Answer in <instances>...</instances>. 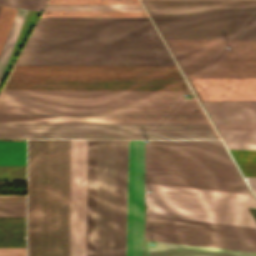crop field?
<instances>
[{"label": "crop field", "instance_id": "1", "mask_svg": "<svg viewBox=\"0 0 256 256\" xmlns=\"http://www.w3.org/2000/svg\"><path fill=\"white\" fill-rule=\"evenodd\" d=\"M145 182L251 194L220 140H148ZM149 183L146 215L255 227L243 208L253 195ZM150 216L146 240L256 252V228ZM150 241L146 256H256Z\"/></svg>", "mask_w": 256, "mask_h": 256}, {"label": "crop field", "instance_id": "2", "mask_svg": "<svg viewBox=\"0 0 256 256\" xmlns=\"http://www.w3.org/2000/svg\"><path fill=\"white\" fill-rule=\"evenodd\" d=\"M192 91H0V138L219 139Z\"/></svg>", "mask_w": 256, "mask_h": 256}, {"label": "crop field", "instance_id": "3", "mask_svg": "<svg viewBox=\"0 0 256 256\" xmlns=\"http://www.w3.org/2000/svg\"><path fill=\"white\" fill-rule=\"evenodd\" d=\"M142 2L164 41H256V0ZM166 44L184 74L256 73V42ZM186 77L200 101H256V74Z\"/></svg>", "mask_w": 256, "mask_h": 256}, {"label": "crop field", "instance_id": "4", "mask_svg": "<svg viewBox=\"0 0 256 256\" xmlns=\"http://www.w3.org/2000/svg\"><path fill=\"white\" fill-rule=\"evenodd\" d=\"M69 140L28 141V256H68Z\"/></svg>", "mask_w": 256, "mask_h": 256}, {"label": "crop field", "instance_id": "5", "mask_svg": "<svg viewBox=\"0 0 256 256\" xmlns=\"http://www.w3.org/2000/svg\"><path fill=\"white\" fill-rule=\"evenodd\" d=\"M127 140H117L115 256H124ZM116 140H88L87 256H114Z\"/></svg>", "mask_w": 256, "mask_h": 256}, {"label": "crop field", "instance_id": "6", "mask_svg": "<svg viewBox=\"0 0 256 256\" xmlns=\"http://www.w3.org/2000/svg\"><path fill=\"white\" fill-rule=\"evenodd\" d=\"M1 90H190L178 67L13 66Z\"/></svg>", "mask_w": 256, "mask_h": 256}, {"label": "crop field", "instance_id": "7", "mask_svg": "<svg viewBox=\"0 0 256 256\" xmlns=\"http://www.w3.org/2000/svg\"><path fill=\"white\" fill-rule=\"evenodd\" d=\"M24 48H166L149 18L39 17Z\"/></svg>", "mask_w": 256, "mask_h": 256}, {"label": "crop field", "instance_id": "8", "mask_svg": "<svg viewBox=\"0 0 256 256\" xmlns=\"http://www.w3.org/2000/svg\"><path fill=\"white\" fill-rule=\"evenodd\" d=\"M14 65L176 66L168 49H22Z\"/></svg>", "mask_w": 256, "mask_h": 256}, {"label": "crop field", "instance_id": "9", "mask_svg": "<svg viewBox=\"0 0 256 256\" xmlns=\"http://www.w3.org/2000/svg\"><path fill=\"white\" fill-rule=\"evenodd\" d=\"M202 104L228 150H256V102H202ZM230 153L243 175H256V151H230Z\"/></svg>", "mask_w": 256, "mask_h": 256}, {"label": "crop field", "instance_id": "10", "mask_svg": "<svg viewBox=\"0 0 256 256\" xmlns=\"http://www.w3.org/2000/svg\"><path fill=\"white\" fill-rule=\"evenodd\" d=\"M125 256H144V140H128Z\"/></svg>", "mask_w": 256, "mask_h": 256}, {"label": "crop field", "instance_id": "11", "mask_svg": "<svg viewBox=\"0 0 256 256\" xmlns=\"http://www.w3.org/2000/svg\"><path fill=\"white\" fill-rule=\"evenodd\" d=\"M87 140H70L69 256H86Z\"/></svg>", "mask_w": 256, "mask_h": 256}, {"label": "crop field", "instance_id": "12", "mask_svg": "<svg viewBox=\"0 0 256 256\" xmlns=\"http://www.w3.org/2000/svg\"><path fill=\"white\" fill-rule=\"evenodd\" d=\"M26 218H0V248L25 247Z\"/></svg>", "mask_w": 256, "mask_h": 256}, {"label": "crop field", "instance_id": "13", "mask_svg": "<svg viewBox=\"0 0 256 256\" xmlns=\"http://www.w3.org/2000/svg\"><path fill=\"white\" fill-rule=\"evenodd\" d=\"M28 10L18 9L0 52V78Z\"/></svg>", "mask_w": 256, "mask_h": 256}, {"label": "crop field", "instance_id": "14", "mask_svg": "<svg viewBox=\"0 0 256 256\" xmlns=\"http://www.w3.org/2000/svg\"><path fill=\"white\" fill-rule=\"evenodd\" d=\"M44 11L145 12L142 6L47 5Z\"/></svg>", "mask_w": 256, "mask_h": 256}, {"label": "crop field", "instance_id": "15", "mask_svg": "<svg viewBox=\"0 0 256 256\" xmlns=\"http://www.w3.org/2000/svg\"><path fill=\"white\" fill-rule=\"evenodd\" d=\"M0 164H26V142H1Z\"/></svg>", "mask_w": 256, "mask_h": 256}, {"label": "crop field", "instance_id": "16", "mask_svg": "<svg viewBox=\"0 0 256 256\" xmlns=\"http://www.w3.org/2000/svg\"><path fill=\"white\" fill-rule=\"evenodd\" d=\"M42 16L147 17L146 13L43 12Z\"/></svg>", "mask_w": 256, "mask_h": 256}, {"label": "crop field", "instance_id": "17", "mask_svg": "<svg viewBox=\"0 0 256 256\" xmlns=\"http://www.w3.org/2000/svg\"><path fill=\"white\" fill-rule=\"evenodd\" d=\"M47 4L140 5L138 0H49Z\"/></svg>", "mask_w": 256, "mask_h": 256}, {"label": "crop field", "instance_id": "18", "mask_svg": "<svg viewBox=\"0 0 256 256\" xmlns=\"http://www.w3.org/2000/svg\"><path fill=\"white\" fill-rule=\"evenodd\" d=\"M16 8L2 6L0 9V50L13 20Z\"/></svg>", "mask_w": 256, "mask_h": 256}, {"label": "crop field", "instance_id": "19", "mask_svg": "<svg viewBox=\"0 0 256 256\" xmlns=\"http://www.w3.org/2000/svg\"><path fill=\"white\" fill-rule=\"evenodd\" d=\"M26 202L0 203V217H26Z\"/></svg>", "mask_w": 256, "mask_h": 256}, {"label": "crop field", "instance_id": "20", "mask_svg": "<svg viewBox=\"0 0 256 256\" xmlns=\"http://www.w3.org/2000/svg\"><path fill=\"white\" fill-rule=\"evenodd\" d=\"M46 0H0L1 5L42 10Z\"/></svg>", "mask_w": 256, "mask_h": 256}, {"label": "crop field", "instance_id": "21", "mask_svg": "<svg viewBox=\"0 0 256 256\" xmlns=\"http://www.w3.org/2000/svg\"><path fill=\"white\" fill-rule=\"evenodd\" d=\"M0 256H25V248L0 249Z\"/></svg>", "mask_w": 256, "mask_h": 256}, {"label": "crop field", "instance_id": "22", "mask_svg": "<svg viewBox=\"0 0 256 256\" xmlns=\"http://www.w3.org/2000/svg\"><path fill=\"white\" fill-rule=\"evenodd\" d=\"M1 7V6H0Z\"/></svg>", "mask_w": 256, "mask_h": 256}]
</instances>
